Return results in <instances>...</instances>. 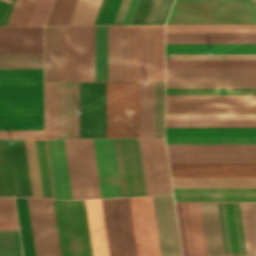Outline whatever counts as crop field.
I'll return each mask as SVG.
<instances>
[{"label":"crop field","mask_w":256,"mask_h":256,"mask_svg":"<svg viewBox=\"0 0 256 256\" xmlns=\"http://www.w3.org/2000/svg\"><path fill=\"white\" fill-rule=\"evenodd\" d=\"M152 199L161 256H181L172 195ZM152 199L129 198L138 256H160Z\"/></svg>","instance_id":"1"},{"label":"crop field","mask_w":256,"mask_h":256,"mask_svg":"<svg viewBox=\"0 0 256 256\" xmlns=\"http://www.w3.org/2000/svg\"><path fill=\"white\" fill-rule=\"evenodd\" d=\"M0 129H43L42 69L0 70Z\"/></svg>","instance_id":"2"},{"label":"crop field","mask_w":256,"mask_h":256,"mask_svg":"<svg viewBox=\"0 0 256 256\" xmlns=\"http://www.w3.org/2000/svg\"><path fill=\"white\" fill-rule=\"evenodd\" d=\"M163 80V25L124 26V81Z\"/></svg>","instance_id":"3"},{"label":"crop field","mask_w":256,"mask_h":256,"mask_svg":"<svg viewBox=\"0 0 256 256\" xmlns=\"http://www.w3.org/2000/svg\"><path fill=\"white\" fill-rule=\"evenodd\" d=\"M166 23H256L252 0H174Z\"/></svg>","instance_id":"4"},{"label":"crop field","mask_w":256,"mask_h":256,"mask_svg":"<svg viewBox=\"0 0 256 256\" xmlns=\"http://www.w3.org/2000/svg\"><path fill=\"white\" fill-rule=\"evenodd\" d=\"M106 137H138V82H106Z\"/></svg>","instance_id":"5"},{"label":"crop field","mask_w":256,"mask_h":256,"mask_svg":"<svg viewBox=\"0 0 256 256\" xmlns=\"http://www.w3.org/2000/svg\"><path fill=\"white\" fill-rule=\"evenodd\" d=\"M61 256H93L84 200H53Z\"/></svg>","instance_id":"6"},{"label":"crop field","mask_w":256,"mask_h":256,"mask_svg":"<svg viewBox=\"0 0 256 256\" xmlns=\"http://www.w3.org/2000/svg\"><path fill=\"white\" fill-rule=\"evenodd\" d=\"M166 87H256V68H166Z\"/></svg>","instance_id":"7"},{"label":"crop field","mask_w":256,"mask_h":256,"mask_svg":"<svg viewBox=\"0 0 256 256\" xmlns=\"http://www.w3.org/2000/svg\"><path fill=\"white\" fill-rule=\"evenodd\" d=\"M73 199L101 198L92 139H64Z\"/></svg>","instance_id":"8"},{"label":"crop field","mask_w":256,"mask_h":256,"mask_svg":"<svg viewBox=\"0 0 256 256\" xmlns=\"http://www.w3.org/2000/svg\"><path fill=\"white\" fill-rule=\"evenodd\" d=\"M169 163H256V145H167Z\"/></svg>","instance_id":"9"},{"label":"crop field","mask_w":256,"mask_h":256,"mask_svg":"<svg viewBox=\"0 0 256 256\" xmlns=\"http://www.w3.org/2000/svg\"><path fill=\"white\" fill-rule=\"evenodd\" d=\"M101 202L110 256H137L128 198Z\"/></svg>","instance_id":"10"},{"label":"crop field","mask_w":256,"mask_h":256,"mask_svg":"<svg viewBox=\"0 0 256 256\" xmlns=\"http://www.w3.org/2000/svg\"><path fill=\"white\" fill-rule=\"evenodd\" d=\"M166 112H256V95L166 96Z\"/></svg>","instance_id":"11"},{"label":"crop field","mask_w":256,"mask_h":256,"mask_svg":"<svg viewBox=\"0 0 256 256\" xmlns=\"http://www.w3.org/2000/svg\"><path fill=\"white\" fill-rule=\"evenodd\" d=\"M35 256H60L52 200L27 198Z\"/></svg>","instance_id":"12"},{"label":"crop field","mask_w":256,"mask_h":256,"mask_svg":"<svg viewBox=\"0 0 256 256\" xmlns=\"http://www.w3.org/2000/svg\"><path fill=\"white\" fill-rule=\"evenodd\" d=\"M80 138L105 137V82L80 83Z\"/></svg>","instance_id":"13"},{"label":"crop field","mask_w":256,"mask_h":256,"mask_svg":"<svg viewBox=\"0 0 256 256\" xmlns=\"http://www.w3.org/2000/svg\"><path fill=\"white\" fill-rule=\"evenodd\" d=\"M147 194L172 193L164 139H139Z\"/></svg>","instance_id":"14"},{"label":"crop field","mask_w":256,"mask_h":256,"mask_svg":"<svg viewBox=\"0 0 256 256\" xmlns=\"http://www.w3.org/2000/svg\"><path fill=\"white\" fill-rule=\"evenodd\" d=\"M122 196L146 195L138 139H114Z\"/></svg>","instance_id":"15"},{"label":"crop field","mask_w":256,"mask_h":256,"mask_svg":"<svg viewBox=\"0 0 256 256\" xmlns=\"http://www.w3.org/2000/svg\"><path fill=\"white\" fill-rule=\"evenodd\" d=\"M32 196L54 198L45 140H24Z\"/></svg>","instance_id":"16"},{"label":"crop field","mask_w":256,"mask_h":256,"mask_svg":"<svg viewBox=\"0 0 256 256\" xmlns=\"http://www.w3.org/2000/svg\"><path fill=\"white\" fill-rule=\"evenodd\" d=\"M45 81H67V26H45Z\"/></svg>","instance_id":"17"},{"label":"crop field","mask_w":256,"mask_h":256,"mask_svg":"<svg viewBox=\"0 0 256 256\" xmlns=\"http://www.w3.org/2000/svg\"><path fill=\"white\" fill-rule=\"evenodd\" d=\"M79 83H58V138H79Z\"/></svg>","instance_id":"18"},{"label":"crop field","mask_w":256,"mask_h":256,"mask_svg":"<svg viewBox=\"0 0 256 256\" xmlns=\"http://www.w3.org/2000/svg\"><path fill=\"white\" fill-rule=\"evenodd\" d=\"M102 198L120 197L113 139H93Z\"/></svg>","instance_id":"19"},{"label":"crop field","mask_w":256,"mask_h":256,"mask_svg":"<svg viewBox=\"0 0 256 256\" xmlns=\"http://www.w3.org/2000/svg\"><path fill=\"white\" fill-rule=\"evenodd\" d=\"M171 177H256V164H169Z\"/></svg>","instance_id":"20"},{"label":"crop field","mask_w":256,"mask_h":256,"mask_svg":"<svg viewBox=\"0 0 256 256\" xmlns=\"http://www.w3.org/2000/svg\"><path fill=\"white\" fill-rule=\"evenodd\" d=\"M0 53H42V26L0 27Z\"/></svg>","instance_id":"21"},{"label":"crop field","mask_w":256,"mask_h":256,"mask_svg":"<svg viewBox=\"0 0 256 256\" xmlns=\"http://www.w3.org/2000/svg\"><path fill=\"white\" fill-rule=\"evenodd\" d=\"M226 255L245 254L238 202H218Z\"/></svg>","instance_id":"22"},{"label":"crop field","mask_w":256,"mask_h":256,"mask_svg":"<svg viewBox=\"0 0 256 256\" xmlns=\"http://www.w3.org/2000/svg\"><path fill=\"white\" fill-rule=\"evenodd\" d=\"M46 143L55 198L72 199L63 139Z\"/></svg>","instance_id":"23"},{"label":"crop field","mask_w":256,"mask_h":256,"mask_svg":"<svg viewBox=\"0 0 256 256\" xmlns=\"http://www.w3.org/2000/svg\"><path fill=\"white\" fill-rule=\"evenodd\" d=\"M175 201H256V189H173Z\"/></svg>","instance_id":"24"},{"label":"crop field","mask_w":256,"mask_h":256,"mask_svg":"<svg viewBox=\"0 0 256 256\" xmlns=\"http://www.w3.org/2000/svg\"><path fill=\"white\" fill-rule=\"evenodd\" d=\"M207 255H225L217 202H199Z\"/></svg>","instance_id":"25"},{"label":"crop field","mask_w":256,"mask_h":256,"mask_svg":"<svg viewBox=\"0 0 256 256\" xmlns=\"http://www.w3.org/2000/svg\"><path fill=\"white\" fill-rule=\"evenodd\" d=\"M189 256L206 255L198 202H181Z\"/></svg>","instance_id":"26"},{"label":"crop field","mask_w":256,"mask_h":256,"mask_svg":"<svg viewBox=\"0 0 256 256\" xmlns=\"http://www.w3.org/2000/svg\"><path fill=\"white\" fill-rule=\"evenodd\" d=\"M94 256H109L100 199L85 200Z\"/></svg>","instance_id":"27"},{"label":"crop field","mask_w":256,"mask_h":256,"mask_svg":"<svg viewBox=\"0 0 256 256\" xmlns=\"http://www.w3.org/2000/svg\"><path fill=\"white\" fill-rule=\"evenodd\" d=\"M173 188H256V178H171Z\"/></svg>","instance_id":"28"},{"label":"crop field","mask_w":256,"mask_h":256,"mask_svg":"<svg viewBox=\"0 0 256 256\" xmlns=\"http://www.w3.org/2000/svg\"><path fill=\"white\" fill-rule=\"evenodd\" d=\"M108 81H123V26H108Z\"/></svg>","instance_id":"29"},{"label":"crop field","mask_w":256,"mask_h":256,"mask_svg":"<svg viewBox=\"0 0 256 256\" xmlns=\"http://www.w3.org/2000/svg\"><path fill=\"white\" fill-rule=\"evenodd\" d=\"M10 140H0V196H19Z\"/></svg>","instance_id":"30"},{"label":"crop field","mask_w":256,"mask_h":256,"mask_svg":"<svg viewBox=\"0 0 256 256\" xmlns=\"http://www.w3.org/2000/svg\"><path fill=\"white\" fill-rule=\"evenodd\" d=\"M166 53H256V44H166Z\"/></svg>","instance_id":"31"},{"label":"crop field","mask_w":256,"mask_h":256,"mask_svg":"<svg viewBox=\"0 0 256 256\" xmlns=\"http://www.w3.org/2000/svg\"><path fill=\"white\" fill-rule=\"evenodd\" d=\"M172 0H140L131 24L164 23Z\"/></svg>","instance_id":"32"},{"label":"crop field","mask_w":256,"mask_h":256,"mask_svg":"<svg viewBox=\"0 0 256 256\" xmlns=\"http://www.w3.org/2000/svg\"><path fill=\"white\" fill-rule=\"evenodd\" d=\"M166 136H256V128H166Z\"/></svg>","instance_id":"33"},{"label":"crop field","mask_w":256,"mask_h":256,"mask_svg":"<svg viewBox=\"0 0 256 256\" xmlns=\"http://www.w3.org/2000/svg\"><path fill=\"white\" fill-rule=\"evenodd\" d=\"M246 254H256V202H239Z\"/></svg>","instance_id":"34"},{"label":"crop field","mask_w":256,"mask_h":256,"mask_svg":"<svg viewBox=\"0 0 256 256\" xmlns=\"http://www.w3.org/2000/svg\"><path fill=\"white\" fill-rule=\"evenodd\" d=\"M95 81H107V26H95Z\"/></svg>","instance_id":"35"},{"label":"crop field","mask_w":256,"mask_h":256,"mask_svg":"<svg viewBox=\"0 0 256 256\" xmlns=\"http://www.w3.org/2000/svg\"><path fill=\"white\" fill-rule=\"evenodd\" d=\"M139 137H151V82H139Z\"/></svg>","instance_id":"36"},{"label":"crop field","mask_w":256,"mask_h":256,"mask_svg":"<svg viewBox=\"0 0 256 256\" xmlns=\"http://www.w3.org/2000/svg\"><path fill=\"white\" fill-rule=\"evenodd\" d=\"M166 127H256V120H166Z\"/></svg>","instance_id":"37"},{"label":"crop field","mask_w":256,"mask_h":256,"mask_svg":"<svg viewBox=\"0 0 256 256\" xmlns=\"http://www.w3.org/2000/svg\"><path fill=\"white\" fill-rule=\"evenodd\" d=\"M166 67H256V60H166Z\"/></svg>","instance_id":"38"},{"label":"crop field","mask_w":256,"mask_h":256,"mask_svg":"<svg viewBox=\"0 0 256 256\" xmlns=\"http://www.w3.org/2000/svg\"><path fill=\"white\" fill-rule=\"evenodd\" d=\"M167 144H256V137H166Z\"/></svg>","instance_id":"39"},{"label":"crop field","mask_w":256,"mask_h":256,"mask_svg":"<svg viewBox=\"0 0 256 256\" xmlns=\"http://www.w3.org/2000/svg\"><path fill=\"white\" fill-rule=\"evenodd\" d=\"M20 196H31L23 140H12Z\"/></svg>","instance_id":"40"},{"label":"crop field","mask_w":256,"mask_h":256,"mask_svg":"<svg viewBox=\"0 0 256 256\" xmlns=\"http://www.w3.org/2000/svg\"><path fill=\"white\" fill-rule=\"evenodd\" d=\"M15 199L17 204L23 254L24 256H34L27 201L24 197H18Z\"/></svg>","instance_id":"41"},{"label":"crop field","mask_w":256,"mask_h":256,"mask_svg":"<svg viewBox=\"0 0 256 256\" xmlns=\"http://www.w3.org/2000/svg\"><path fill=\"white\" fill-rule=\"evenodd\" d=\"M152 137H163V82H152Z\"/></svg>","instance_id":"42"},{"label":"crop field","mask_w":256,"mask_h":256,"mask_svg":"<svg viewBox=\"0 0 256 256\" xmlns=\"http://www.w3.org/2000/svg\"><path fill=\"white\" fill-rule=\"evenodd\" d=\"M42 68V54H0V69Z\"/></svg>","instance_id":"43"},{"label":"crop field","mask_w":256,"mask_h":256,"mask_svg":"<svg viewBox=\"0 0 256 256\" xmlns=\"http://www.w3.org/2000/svg\"><path fill=\"white\" fill-rule=\"evenodd\" d=\"M256 94V88H166V95Z\"/></svg>","instance_id":"44"},{"label":"crop field","mask_w":256,"mask_h":256,"mask_svg":"<svg viewBox=\"0 0 256 256\" xmlns=\"http://www.w3.org/2000/svg\"><path fill=\"white\" fill-rule=\"evenodd\" d=\"M102 0H78L69 24H93Z\"/></svg>","instance_id":"45"},{"label":"crop field","mask_w":256,"mask_h":256,"mask_svg":"<svg viewBox=\"0 0 256 256\" xmlns=\"http://www.w3.org/2000/svg\"><path fill=\"white\" fill-rule=\"evenodd\" d=\"M77 0H54L45 25L68 24Z\"/></svg>","instance_id":"46"},{"label":"crop field","mask_w":256,"mask_h":256,"mask_svg":"<svg viewBox=\"0 0 256 256\" xmlns=\"http://www.w3.org/2000/svg\"><path fill=\"white\" fill-rule=\"evenodd\" d=\"M166 39H256V33H166Z\"/></svg>","instance_id":"47"},{"label":"crop field","mask_w":256,"mask_h":256,"mask_svg":"<svg viewBox=\"0 0 256 256\" xmlns=\"http://www.w3.org/2000/svg\"><path fill=\"white\" fill-rule=\"evenodd\" d=\"M0 256H21L18 231H0Z\"/></svg>","instance_id":"48"},{"label":"crop field","mask_w":256,"mask_h":256,"mask_svg":"<svg viewBox=\"0 0 256 256\" xmlns=\"http://www.w3.org/2000/svg\"><path fill=\"white\" fill-rule=\"evenodd\" d=\"M122 0H103L94 24H113Z\"/></svg>","instance_id":"49"},{"label":"crop field","mask_w":256,"mask_h":256,"mask_svg":"<svg viewBox=\"0 0 256 256\" xmlns=\"http://www.w3.org/2000/svg\"><path fill=\"white\" fill-rule=\"evenodd\" d=\"M166 119H256V114H166Z\"/></svg>","instance_id":"50"},{"label":"crop field","mask_w":256,"mask_h":256,"mask_svg":"<svg viewBox=\"0 0 256 256\" xmlns=\"http://www.w3.org/2000/svg\"><path fill=\"white\" fill-rule=\"evenodd\" d=\"M166 59H256V54H166Z\"/></svg>","instance_id":"51"},{"label":"crop field","mask_w":256,"mask_h":256,"mask_svg":"<svg viewBox=\"0 0 256 256\" xmlns=\"http://www.w3.org/2000/svg\"><path fill=\"white\" fill-rule=\"evenodd\" d=\"M52 0H34L25 25H43Z\"/></svg>","instance_id":"52"},{"label":"crop field","mask_w":256,"mask_h":256,"mask_svg":"<svg viewBox=\"0 0 256 256\" xmlns=\"http://www.w3.org/2000/svg\"><path fill=\"white\" fill-rule=\"evenodd\" d=\"M87 81H94V26H86Z\"/></svg>","instance_id":"53"},{"label":"crop field","mask_w":256,"mask_h":256,"mask_svg":"<svg viewBox=\"0 0 256 256\" xmlns=\"http://www.w3.org/2000/svg\"><path fill=\"white\" fill-rule=\"evenodd\" d=\"M43 138V130H0V139Z\"/></svg>","instance_id":"54"},{"label":"crop field","mask_w":256,"mask_h":256,"mask_svg":"<svg viewBox=\"0 0 256 256\" xmlns=\"http://www.w3.org/2000/svg\"><path fill=\"white\" fill-rule=\"evenodd\" d=\"M183 256H188L180 202H175Z\"/></svg>","instance_id":"55"},{"label":"crop field","mask_w":256,"mask_h":256,"mask_svg":"<svg viewBox=\"0 0 256 256\" xmlns=\"http://www.w3.org/2000/svg\"><path fill=\"white\" fill-rule=\"evenodd\" d=\"M166 43H256V40H166Z\"/></svg>","instance_id":"56"},{"label":"crop field","mask_w":256,"mask_h":256,"mask_svg":"<svg viewBox=\"0 0 256 256\" xmlns=\"http://www.w3.org/2000/svg\"><path fill=\"white\" fill-rule=\"evenodd\" d=\"M13 3L11 0H0V25L7 24Z\"/></svg>","instance_id":"57"},{"label":"crop field","mask_w":256,"mask_h":256,"mask_svg":"<svg viewBox=\"0 0 256 256\" xmlns=\"http://www.w3.org/2000/svg\"><path fill=\"white\" fill-rule=\"evenodd\" d=\"M139 0H131L122 24H130Z\"/></svg>","instance_id":"58"},{"label":"crop field","mask_w":256,"mask_h":256,"mask_svg":"<svg viewBox=\"0 0 256 256\" xmlns=\"http://www.w3.org/2000/svg\"><path fill=\"white\" fill-rule=\"evenodd\" d=\"M0 230H18L16 219H0Z\"/></svg>","instance_id":"59"},{"label":"crop field","mask_w":256,"mask_h":256,"mask_svg":"<svg viewBox=\"0 0 256 256\" xmlns=\"http://www.w3.org/2000/svg\"><path fill=\"white\" fill-rule=\"evenodd\" d=\"M130 0H123L114 24H121Z\"/></svg>","instance_id":"60"},{"label":"crop field","mask_w":256,"mask_h":256,"mask_svg":"<svg viewBox=\"0 0 256 256\" xmlns=\"http://www.w3.org/2000/svg\"><path fill=\"white\" fill-rule=\"evenodd\" d=\"M0 218H16L15 208H0Z\"/></svg>","instance_id":"61"},{"label":"crop field","mask_w":256,"mask_h":256,"mask_svg":"<svg viewBox=\"0 0 256 256\" xmlns=\"http://www.w3.org/2000/svg\"><path fill=\"white\" fill-rule=\"evenodd\" d=\"M0 207H15L13 198H0Z\"/></svg>","instance_id":"62"},{"label":"crop field","mask_w":256,"mask_h":256,"mask_svg":"<svg viewBox=\"0 0 256 256\" xmlns=\"http://www.w3.org/2000/svg\"><path fill=\"white\" fill-rule=\"evenodd\" d=\"M255 1V3H256V0H254Z\"/></svg>","instance_id":"63"}]
</instances>
